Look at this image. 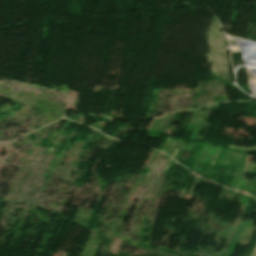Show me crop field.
<instances>
[{
    "mask_svg": "<svg viewBox=\"0 0 256 256\" xmlns=\"http://www.w3.org/2000/svg\"><path fill=\"white\" fill-rule=\"evenodd\" d=\"M250 256H256V249L253 251V253Z\"/></svg>",
    "mask_w": 256,
    "mask_h": 256,
    "instance_id": "8a807250",
    "label": "crop field"
}]
</instances>
